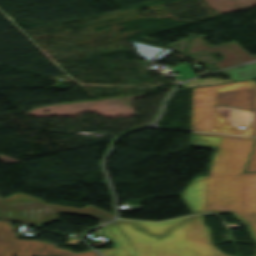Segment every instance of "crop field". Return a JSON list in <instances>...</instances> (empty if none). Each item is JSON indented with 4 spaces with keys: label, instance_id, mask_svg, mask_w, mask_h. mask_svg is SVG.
<instances>
[{
    "label": "crop field",
    "instance_id": "412701ff",
    "mask_svg": "<svg viewBox=\"0 0 256 256\" xmlns=\"http://www.w3.org/2000/svg\"><path fill=\"white\" fill-rule=\"evenodd\" d=\"M57 245L35 240H17L11 225L0 222V256L47 255V256H99L93 250L74 254L70 251L56 249Z\"/></svg>",
    "mask_w": 256,
    "mask_h": 256
},
{
    "label": "crop field",
    "instance_id": "8a807250",
    "mask_svg": "<svg viewBox=\"0 0 256 256\" xmlns=\"http://www.w3.org/2000/svg\"><path fill=\"white\" fill-rule=\"evenodd\" d=\"M256 139L192 132L190 146L214 148L208 175L181 194L191 214L231 213L256 242V173H243ZM116 248L104 256H227L213 244L203 215L163 223L115 220L103 226Z\"/></svg>",
    "mask_w": 256,
    "mask_h": 256
},
{
    "label": "crop field",
    "instance_id": "d8731c3e",
    "mask_svg": "<svg viewBox=\"0 0 256 256\" xmlns=\"http://www.w3.org/2000/svg\"><path fill=\"white\" fill-rule=\"evenodd\" d=\"M223 72L231 75L230 79L234 81L254 79L256 78V62L244 65L243 69L236 67Z\"/></svg>",
    "mask_w": 256,
    "mask_h": 256
},
{
    "label": "crop field",
    "instance_id": "e52e79f7",
    "mask_svg": "<svg viewBox=\"0 0 256 256\" xmlns=\"http://www.w3.org/2000/svg\"><path fill=\"white\" fill-rule=\"evenodd\" d=\"M49 204V203H48ZM56 212H64V213H71V214H78V215H85L93 217L103 223L111 220L114 215L99 209L97 207H94L92 205H87L82 209L78 208H71V207H65V206H59V205H53L49 204Z\"/></svg>",
    "mask_w": 256,
    "mask_h": 256
},
{
    "label": "crop field",
    "instance_id": "dd49c442",
    "mask_svg": "<svg viewBox=\"0 0 256 256\" xmlns=\"http://www.w3.org/2000/svg\"><path fill=\"white\" fill-rule=\"evenodd\" d=\"M255 88L218 92L217 109H239L254 119Z\"/></svg>",
    "mask_w": 256,
    "mask_h": 256
},
{
    "label": "crop field",
    "instance_id": "3316defc",
    "mask_svg": "<svg viewBox=\"0 0 256 256\" xmlns=\"http://www.w3.org/2000/svg\"><path fill=\"white\" fill-rule=\"evenodd\" d=\"M254 136H256V92H255V120H254Z\"/></svg>",
    "mask_w": 256,
    "mask_h": 256
},
{
    "label": "crop field",
    "instance_id": "34b2d1b8",
    "mask_svg": "<svg viewBox=\"0 0 256 256\" xmlns=\"http://www.w3.org/2000/svg\"><path fill=\"white\" fill-rule=\"evenodd\" d=\"M0 219L41 227L58 220L59 217L45 201L26 194H14L7 199H0Z\"/></svg>",
    "mask_w": 256,
    "mask_h": 256
},
{
    "label": "crop field",
    "instance_id": "5a996713",
    "mask_svg": "<svg viewBox=\"0 0 256 256\" xmlns=\"http://www.w3.org/2000/svg\"><path fill=\"white\" fill-rule=\"evenodd\" d=\"M246 171H256V145L252 152Z\"/></svg>",
    "mask_w": 256,
    "mask_h": 256
},
{
    "label": "crop field",
    "instance_id": "ac0d7876",
    "mask_svg": "<svg viewBox=\"0 0 256 256\" xmlns=\"http://www.w3.org/2000/svg\"><path fill=\"white\" fill-rule=\"evenodd\" d=\"M255 87L254 80L193 88L191 130L253 136L250 128L238 129L216 109L217 91Z\"/></svg>",
    "mask_w": 256,
    "mask_h": 256
},
{
    "label": "crop field",
    "instance_id": "f4fd0767",
    "mask_svg": "<svg viewBox=\"0 0 256 256\" xmlns=\"http://www.w3.org/2000/svg\"><path fill=\"white\" fill-rule=\"evenodd\" d=\"M202 38V36L193 38L195 42H193L192 45L189 46L187 52L193 54L202 49H205L209 53L214 50L220 51L223 59L214 63L216 65L215 67L218 69L247 61L256 60V57H250L235 41L210 48L202 41Z\"/></svg>",
    "mask_w": 256,
    "mask_h": 256
}]
</instances>
